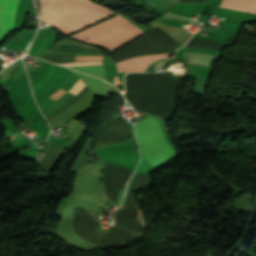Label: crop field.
Returning a JSON list of instances; mask_svg holds the SVG:
<instances>
[{"label":"crop field","mask_w":256,"mask_h":256,"mask_svg":"<svg viewBox=\"0 0 256 256\" xmlns=\"http://www.w3.org/2000/svg\"><path fill=\"white\" fill-rule=\"evenodd\" d=\"M180 82L174 81L167 72L130 73L125 77L126 93L132 106L151 115L170 119L175 108L173 93Z\"/></svg>","instance_id":"8a807250"},{"label":"crop field","mask_w":256,"mask_h":256,"mask_svg":"<svg viewBox=\"0 0 256 256\" xmlns=\"http://www.w3.org/2000/svg\"><path fill=\"white\" fill-rule=\"evenodd\" d=\"M39 5L42 21L66 35L113 15L88 0H39Z\"/></svg>","instance_id":"ac0d7876"},{"label":"crop field","mask_w":256,"mask_h":256,"mask_svg":"<svg viewBox=\"0 0 256 256\" xmlns=\"http://www.w3.org/2000/svg\"><path fill=\"white\" fill-rule=\"evenodd\" d=\"M135 132L143 154L156 168L169 163L178 155L166 142L154 118L148 116L138 121Z\"/></svg>","instance_id":"34b2d1b8"},{"label":"crop field","mask_w":256,"mask_h":256,"mask_svg":"<svg viewBox=\"0 0 256 256\" xmlns=\"http://www.w3.org/2000/svg\"><path fill=\"white\" fill-rule=\"evenodd\" d=\"M132 172V170L107 162L104 173V181L106 185L105 194L115 205L118 200L120 190H125L126 182L129 180Z\"/></svg>","instance_id":"412701ff"},{"label":"crop field","mask_w":256,"mask_h":256,"mask_svg":"<svg viewBox=\"0 0 256 256\" xmlns=\"http://www.w3.org/2000/svg\"><path fill=\"white\" fill-rule=\"evenodd\" d=\"M132 138L131 131L127 121L109 123L103 126L97 136L95 145L96 148L109 144L129 140Z\"/></svg>","instance_id":"f4fd0767"},{"label":"crop field","mask_w":256,"mask_h":256,"mask_svg":"<svg viewBox=\"0 0 256 256\" xmlns=\"http://www.w3.org/2000/svg\"><path fill=\"white\" fill-rule=\"evenodd\" d=\"M20 0H0V41L15 31V12Z\"/></svg>","instance_id":"dd49c442"},{"label":"crop field","mask_w":256,"mask_h":256,"mask_svg":"<svg viewBox=\"0 0 256 256\" xmlns=\"http://www.w3.org/2000/svg\"><path fill=\"white\" fill-rule=\"evenodd\" d=\"M96 222L86 209L74 208V223L72 226L98 243L101 233L95 230Z\"/></svg>","instance_id":"e52e79f7"},{"label":"crop field","mask_w":256,"mask_h":256,"mask_svg":"<svg viewBox=\"0 0 256 256\" xmlns=\"http://www.w3.org/2000/svg\"><path fill=\"white\" fill-rule=\"evenodd\" d=\"M116 226L138 233L142 223L138 220L137 207L122 209L117 216Z\"/></svg>","instance_id":"d8731c3e"},{"label":"crop field","mask_w":256,"mask_h":256,"mask_svg":"<svg viewBox=\"0 0 256 256\" xmlns=\"http://www.w3.org/2000/svg\"><path fill=\"white\" fill-rule=\"evenodd\" d=\"M136 236L117 227L111 226L107 235H101L100 244L105 246H113V245H120L124 242H127Z\"/></svg>","instance_id":"5a996713"},{"label":"crop field","mask_w":256,"mask_h":256,"mask_svg":"<svg viewBox=\"0 0 256 256\" xmlns=\"http://www.w3.org/2000/svg\"><path fill=\"white\" fill-rule=\"evenodd\" d=\"M73 73H75L77 76H79L92 90L93 92L97 93H109L111 85L107 84L103 80L83 74L77 71L71 70Z\"/></svg>","instance_id":"3316defc"},{"label":"crop field","mask_w":256,"mask_h":256,"mask_svg":"<svg viewBox=\"0 0 256 256\" xmlns=\"http://www.w3.org/2000/svg\"><path fill=\"white\" fill-rule=\"evenodd\" d=\"M219 7H227L256 14V0H222Z\"/></svg>","instance_id":"28ad6ade"},{"label":"crop field","mask_w":256,"mask_h":256,"mask_svg":"<svg viewBox=\"0 0 256 256\" xmlns=\"http://www.w3.org/2000/svg\"><path fill=\"white\" fill-rule=\"evenodd\" d=\"M147 185H148V175L142 174V173L138 172L136 174L133 182L131 183L129 194H128V198H127L125 206H132V205H134V200L132 198V196H133L132 191L140 190L142 188H147Z\"/></svg>","instance_id":"d1516ede"},{"label":"crop field","mask_w":256,"mask_h":256,"mask_svg":"<svg viewBox=\"0 0 256 256\" xmlns=\"http://www.w3.org/2000/svg\"><path fill=\"white\" fill-rule=\"evenodd\" d=\"M200 4L193 3H177L173 8H171L168 12L190 18L193 13L198 9Z\"/></svg>","instance_id":"22f410ed"},{"label":"crop field","mask_w":256,"mask_h":256,"mask_svg":"<svg viewBox=\"0 0 256 256\" xmlns=\"http://www.w3.org/2000/svg\"><path fill=\"white\" fill-rule=\"evenodd\" d=\"M60 147H61L60 145L52 143L42 164L40 163L47 171H49L50 168L52 167V165L60 151Z\"/></svg>","instance_id":"cbeb9de0"},{"label":"crop field","mask_w":256,"mask_h":256,"mask_svg":"<svg viewBox=\"0 0 256 256\" xmlns=\"http://www.w3.org/2000/svg\"><path fill=\"white\" fill-rule=\"evenodd\" d=\"M90 89L88 88V86L86 85L81 92L75 97L73 98L69 103H67L66 105H64L63 107H61L60 109H58L57 111H55L53 114H51L50 116L46 117L48 122L51 121L52 119H54L56 116H58L59 114H61L63 111H65L66 109H68L69 107H71L73 104H75L76 102H78Z\"/></svg>","instance_id":"5142ce71"},{"label":"crop field","mask_w":256,"mask_h":256,"mask_svg":"<svg viewBox=\"0 0 256 256\" xmlns=\"http://www.w3.org/2000/svg\"><path fill=\"white\" fill-rule=\"evenodd\" d=\"M73 69L84 72V73H87V74L95 75V76H98V77L105 76L103 66L78 67V68H73Z\"/></svg>","instance_id":"d9b57169"},{"label":"crop field","mask_w":256,"mask_h":256,"mask_svg":"<svg viewBox=\"0 0 256 256\" xmlns=\"http://www.w3.org/2000/svg\"><path fill=\"white\" fill-rule=\"evenodd\" d=\"M66 67L72 66H93V65H103V61H88V62H72V63H59Z\"/></svg>","instance_id":"733c2abd"},{"label":"crop field","mask_w":256,"mask_h":256,"mask_svg":"<svg viewBox=\"0 0 256 256\" xmlns=\"http://www.w3.org/2000/svg\"><path fill=\"white\" fill-rule=\"evenodd\" d=\"M33 74H34V71H33Z\"/></svg>","instance_id":"4a817a6b"}]
</instances>
